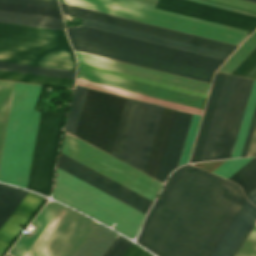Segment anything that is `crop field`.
I'll return each mask as SVG.
<instances>
[{"label":"crop field","mask_w":256,"mask_h":256,"mask_svg":"<svg viewBox=\"0 0 256 256\" xmlns=\"http://www.w3.org/2000/svg\"><path fill=\"white\" fill-rule=\"evenodd\" d=\"M245 200L237 185L183 166L169 177L137 242L159 256H210Z\"/></svg>","instance_id":"8a807250"},{"label":"crop field","mask_w":256,"mask_h":256,"mask_svg":"<svg viewBox=\"0 0 256 256\" xmlns=\"http://www.w3.org/2000/svg\"><path fill=\"white\" fill-rule=\"evenodd\" d=\"M59 1L64 3V0ZM65 3L236 46H239L248 36L247 34L107 0H65ZM60 5L63 14L78 16L82 19L83 23L81 27L90 26L223 60H226L237 48L236 46L96 13L61 3Z\"/></svg>","instance_id":"ac0d7876"},{"label":"crop field","mask_w":256,"mask_h":256,"mask_svg":"<svg viewBox=\"0 0 256 256\" xmlns=\"http://www.w3.org/2000/svg\"><path fill=\"white\" fill-rule=\"evenodd\" d=\"M66 30L74 49L209 83L224 62L90 27Z\"/></svg>","instance_id":"34b2d1b8"},{"label":"crop field","mask_w":256,"mask_h":256,"mask_svg":"<svg viewBox=\"0 0 256 256\" xmlns=\"http://www.w3.org/2000/svg\"><path fill=\"white\" fill-rule=\"evenodd\" d=\"M32 224L30 237L22 234L12 256H74L99 223L56 202L48 203Z\"/></svg>","instance_id":"412701ff"},{"label":"crop field","mask_w":256,"mask_h":256,"mask_svg":"<svg viewBox=\"0 0 256 256\" xmlns=\"http://www.w3.org/2000/svg\"><path fill=\"white\" fill-rule=\"evenodd\" d=\"M42 86L15 83L0 161V181L26 188L40 112Z\"/></svg>","instance_id":"f4fd0767"},{"label":"crop field","mask_w":256,"mask_h":256,"mask_svg":"<svg viewBox=\"0 0 256 256\" xmlns=\"http://www.w3.org/2000/svg\"><path fill=\"white\" fill-rule=\"evenodd\" d=\"M68 42L61 30L0 22V61L75 71Z\"/></svg>","instance_id":"dd49c442"},{"label":"crop field","mask_w":256,"mask_h":256,"mask_svg":"<svg viewBox=\"0 0 256 256\" xmlns=\"http://www.w3.org/2000/svg\"><path fill=\"white\" fill-rule=\"evenodd\" d=\"M53 197L133 238L144 215L57 168ZM113 228V229H114Z\"/></svg>","instance_id":"e52e79f7"},{"label":"crop field","mask_w":256,"mask_h":256,"mask_svg":"<svg viewBox=\"0 0 256 256\" xmlns=\"http://www.w3.org/2000/svg\"><path fill=\"white\" fill-rule=\"evenodd\" d=\"M162 108L127 98L110 155L145 171Z\"/></svg>","instance_id":"d8731c3e"},{"label":"crop field","mask_w":256,"mask_h":256,"mask_svg":"<svg viewBox=\"0 0 256 256\" xmlns=\"http://www.w3.org/2000/svg\"><path fill=\"white\" fill-rule=\"evenodd\" d=\"M65 134V131H64ZM63 134V139H64ZM63 139L61 144L63 145ZM62 153L153 201L162 183L66 133Z\"/></svg>","instance_id":"5a996713"},{"label":"crop field","mask_w":256,"mask_h":256,"mask_svg":"<svg viewBox=\"0 0 256 256\" xmlns=\"http://www.w3.org/2000/svg\"><path fill=\"white\" fill-rule=\"evenodd\" d=\"M125 99L89 88L75 136L110 153Z\"/></svg>","instance_id":"3316defc"},{"label":"crop field","mask_w":256,"mask_h":256,"mask_svg":"<svg viewBox=\"0 0 256 256\" xmlns=\"http://www.w3.org/2000/svg\"><path fill=\"white\" fill-rule=\"evenodd\" d=\"M113 1L126 3V4H130V5H134V6H138V7H142V8H146V9H150V10H154V11H158V12H162V13H166V14H170V15H174V16H178V17H182V18H187V19H191V20H195V21H199V22H203V23H207V24H211V25H215V26L243 32V33H247V34H250L251 32H249V31H253L256 28V18L255 17L231 12L228 10L200 4V3L189 1V0H157V1L156 0H113ZM194 1H198V2H202V3H206V4H210V5H214V6H218V7H222V8H226V9H230V10H234V11H238V12L256 16V13L233 8V7H228V6H224V5H220V4H216V3H212V2H208V1H204V0H194ZM151 5L153 7H157V8H161V9H165V10H169V11H173V12H177V13H181V14H185V15H189V16H193V17H197V18H201V19H205V20H209V21H213V22H217V23H221V24H225V25H229V26H233V27H237V28H241V29H245V30H249V31H245V30H241V29H237V28H233V27H229V26H225V25H221V24H217V23H212V22H208V21H204V20H200V19H196V18H192V17L156 9V8H152V7H150Z\"/></svg>","instance_id":"28ad6ade"},{"label":"crop field","mask_w":256,"mask_h":256,"mask_svg":"<svg viewBox=\"0 0 256 256\" xmlns=\"http://www.w3.org/2000/svg\"><path fill=\"white\" fill-rule=\"evenodd\" d=\"M63 115L41 112L28 189L49 195Z\"/></svg>","instance_id":"d1516ede"},{"label":"crop field","mask_w":256,"mask_h":256,"mask_svg":"<svg viewBox=\"0 0 256 256\" xmlns=\"http://www.w3.org/2000/svg\"><path fill=\"white\" fill-rule=\"evenodd\" d=\"M78 73H79V68H78ZM78 73H77V78H78ZM79 79L115 87V88H120L160 99H165L197 108L202 107L203 99L200 97L132 81V80H127L107 74H102L86 69L80 68V74H79ZM206 100V99H205ZM204 100V104H205ZM203 104V108H204ZM202 108V109H203Z\"/></svg>","instance_id":"22f410ed"},{"label":"crop field","mask_w":256,"mask_h":256,"mask_svg":"<svg viewBox=\"0 0 256 256\" xmlns=\"http://www.w3.org/2000/svg\"><path fill=\"white\" fill-rule=\"evenodd\" d=\"M77 59L80 62L208 93L209 85L208 83L168 74V73H163L123 62H118L82 52L76 51Z\"/></svg>","instance_id":"cbeb9de0"},{"label":"crop field","mask_w":256,"mask_h":256,"mask_svg":"<svg viewBox=\"0 0 256 256\" xmlns=\"http://www.w3.org/2000/svg\"><path fill=\"white\" fill-rule=\"evenodd\" d=\"M192 115L175 111L156 179L164 182L166 176L177 167Z\"/></svg>","instance_id":"5142ce71"},{"label":"crop field","mask_w":256,"mask_h":256,"mask_svg":"<svg viewBox=\"0 0 256 256\" xmlns=\"http://www.w3.org/2000/svg\"><path fill=\"white\" fill-rule=\"evenodd\" d=\"M57 166L143 213L150 205L61 156Z\"/></svg>","instance_id":"d9b57169"},{"label":"crop field","mask_w":256,"mask_h":256,"mask_svg":"<svg viewBox=\"0 0 256 256\" xmlns=\"http://www.w3.org/2000/svg\"><path fill=\"white\" fill-rule=\"evenodd\" d=\"M44 201L41 196L28 192L0 228V256L21 231Z\"/></svg>","instance_id":"733c2abd"},{"label":"crop field","mask_w":256,"mask_h":256,"mask_svg":"<svg viewBox=\"0 0 256 256\" xmlns=\"http://www.w3.org/2000/svg\"><path fill=\"white\" fill-rule=\"evenodd\" d=\"M250 79L238 77L213 159L226 158Z\"/></svg>","instance_id":"4a817a6b"},{"label":"crop field","mask_w":256,"mask_h":256,"mask_svg":"<svg viewBox=\"0 0 256 256\" xmlns=\"http://www.w3.org/2000/svg\"><path fill=\"white\" fill-rule=\"evenodd\" d=\"M256 217V207L246 201L211 256H230Z\"/></svg>","instance_id":"bc2a9ffb"},{"label":"crop field","mask_w":256,"mask_h":256,"mask_svg":"<svg viewBox=\"0 0 256 256\" xmlns=\"http://www.w3.org/2000/svg\"><path fill=\"white\" fill-rule=\"evenodd\" d=\"M236 78L237 77L234 76H225L201 160H209L213 158Z\"/></svg>","instance_id":"214f88e0"},{"label":"crop field","mask_w":256,"mask_h":256,"mask_svg":"<svg viewBox=\"0 0 256 256\" xmlns=\"http://www.w3.org/2000/svg\"><path fill=\"white\" fill-rule=\"evenodd\" d=\"M174 111L175 110L173 109H169L165 107L163 108V112L161 115V119L159 122V126L157 129V133L155 136V140L152 146V150H151L150 157H149L148 164L145 171V173L153 177H156V173L161 160V156L163 153L169 128L172 122Z\"/></svg>","instance_id":"92a150f3"},{"label":"crop field","mask_w":256,"mask_h":256,"mask_svg":"<svg viewBox=\"0 0 256 256\" xmlns=\"http://www.w3.org/2000/svg\"><path fill=\"white\" fill-rule=\"evenodd\" d=\"M224 76L225 75L219 74V73H216L215 75L213 87L210 93V97L207 103L205 114L202 120V124L199 130V134L197 137V141H196L190 162H196L200 160V156L203 150V146L206 140V136L209 130V126L212 120V116H213L215 106L218 100V96L221 90V86L224 80Z\"/></svg>","instance_id":"dafd665d"},{"label":"crop field","mask_w":256,"mask_h":256,"mask_svg":"<svg viewBox=\"0 0 256 256\" xmlns=\"http://www.w3.org/2000/svg\"><path fill=\"white\" fill-rule=\"evenodd\" d=\"M116 236V233L99 225L75 256H102Z\"/></svg>","instance_id":"00972430"},{"label":"crop field","mask_w":256,"mask_h":256,"mask_svg":"<svg viewBox=\"0 0 256 256\" xmlns=\"http://www.w3.org/2000/svg\"><path fill=\"white\" fill-rule=\"evenodd\" d=\"M0 21L64 30L61 19H57V18H49V17H41V16H33V15H25V14H17V13L0 11Z\"/></svg>","instance_id":"a9b5d70f"},{"label":"crop field","mask_w":256,"mask_h":256,"mask_svg":"<svg viewBox=\"0 0 256 256\" xmlns=\"http://www.w3.org/2000/svg\"><path fill=\"white\" fill-rule=\"evenodd\" d=\"M0 79L68 87V88L74 87V80H71V79L55 78V77L32 75V74L17 73V72L2 71V70H0Z\"/></svg>","instance_id":"4177f3b9"},{"label":"crop field","mask_w":256,"mask_h":256,"mask_svg":"<svg viewBox=\"0 0 256 256\" xmlns=\"http://www.w3.org/2000/svg\"><path fill=\"white\" fill-rule=\"evenodd\" d=\"M26 193L27 191L0 184V226Z\"/></svg>","instance_id":"730fd06b"},{"label":"crop field","mask_w":256,"mask_h":256,"mask_svg":"<svg viewBox=\"0 0 256 256\" xmlns=\"http://www.w3.org/2000/svg\"><path fill=\"white\" fill-rule=\"evenodd\" d=\"M76 84L103 90V91H107V92H111V93H115V94H119V95H123V96H127V97H131V98H135V99H139V100H143V101H147V102H151V103H155V104H159V105H163V106H167V107H171V108H175V109H179V110H183V111H187V112H191V113H195V114H199V115H201V113L203 111V110H199V109H195V108H191V107H187V106H183V105H179V104H175V103H171V102H167V101H163V100H158V99H154V98H150V97H146V96H142V95H138V94L122 91V90H117V89L81 81L78 79L76 81Z\"/></svg>","instance_id":"eef30255"},{"label":"crop field","mask_w":256,"mask_h":256,"mask_svg":"<svg viewBox=\"0 0 256 256\" xmlns=\"http://www.w3.org/2000/svg\"><path fill=\"white\" fill-rule=\"evenodd\" d=\"M256 104V80L254 81L253 88L249 97V101L245 110V114L241 123V127L237 136V140L233 149L231 157H236L241 155V151L244 145L246 134L249 128L253 110Z\"/></svg>","instance_id":"ae1a2a85"},{"label":"crop field","mask_w":256,"mask_h":256,"mask_svg":"<svg viewBox=\"0 0 256 256\" xmlns=\"http://www.w3.org/2000/svg\"><path fill=\"white\" fill-rule=\"evenodd\" d=\"M87 89L88 88L85 87H75L74 95L64 127L65 130L69 131L72 134H75Z\"/></svg>","instance_id":"d3111659"},{"label":"crop field","mask_w":256,"mask_h":256,"mask_svg":"<svg viewBox=\"0 0 256 256\" xmlns=\"http://www.w3.org/2000/svg\"><path fill=\"white\" fill-rule=\"evenodd\" d=\"M14 83L0 81V155Z\"/></svg>","instance_id":"750c4746"},{"label":"crop field","mask_w":256,"mask_h":256,"mask_svg":"<svg viewBox=\"0 0 256 256\" xmlns=\"http://www.w3.org/2000/svg\"><path fill=\"white\" fill-rule=\"evenodd\" d=\"M0 69L74 79L75 72L0 62Z\"/></svg>","instance_id":"bd1437ed"},{"label":"crop field","mask_w":256,"mask_h":256,"mask_svg":"<svg viewBox=\"0 0 256 256\" xmlns=\"http://www.w3.org/2000/svg\"><path fill=\"white\" fill-rule=\"evenodd\" d=\"M256 47V31L245 41V43L227 60L218 70L231 74V72L250 54Z\"/></svg>","instance_id":"1d83c4d3"},{"label":"crop field","mask_w":256,"mask_h":256,"mask_svg":"<svg viewBox=\"0 0 256 256\" xmlns=\"http://www.w3.org/2000/svg\"><path fill=\"white\" fill-rule=\"evenodd\" d=\"M0 10L61 18L60 11L56 9H48V8H40V7L0 2Z\"/></svg>","instance_id":"120bbe31"},{"label":"crop field","mask_w":256,"mask_h":256,"mask_svg":"<svg viewBox=\"0 0 256 256\" xmlns=\"http://www.w3.org/2000/svg\"><path fill=\"white\" fill-rule=\"evenodd\" d=\"M252 158L253 157L226 160L215 169L213 173L228 179Z\"/></svg>","instance_id":"d32e631a"},{"label":"crop field","mask_w":256,"mask_h":256,"mask_svg":"<svg viewBox=\"0 0 256 256\" xmlns=\"http://www.w3.org/2000/svg\"><path fill=\"white\" fill-rule=\"evenodd\" d=\"M78 66L96 70V71H100V72H104V73H108V74H112V75H116V76H120V77H124V78H128V79H132V80H136V81H140V82H144V83H148V84H152V85H157V86H161V87H165V88H169V89H173V90H177V91H182V92L202 96L205 98L207 96L205 94H201V93H197V92H193V91H189V90H185V89H181V88H177V87H173V86H169V85H165V84H161V83H157V82H153V81H149V80H145V79H141V78H137V77H133V76H129V75H125V74H121V73H117V72H113V71H109V70H105V69H101V68H97V67H93V66H89V65H85V64H81V63H78Z\"/></svg>","instance_id":"5866460e"},{"label":"crop field","mask_w":256,"mask_h":256,"mask_svg":"<svg viewBox=\"0 0 256 256\" xmlns=\"http://www.w3.org/2000/svg\"><path fill=\"white\" fill-rule=\"evenodd\" d=\"M200 118H201V116H199V115H195V114L193 115L192 122H191V125L189 128V132H188V135L186 138V142H185V145L183 148V152H182V155L180 158L179 165L184 164L188 161L189 154H190L192 144H193V141H194V138L196 135V131H197V128L199 125Z\"/></svg>","instance_id":"028f5c9d"},{"label":"crop field","mask_w":256,"mask_h":256,"mask_svg":"<svg viewBox=\"0 0 256 256\" xmlns=\"http://www.w3.org/2000/svg\"><path fill=\"white\" fill-rule=\"evenodd\" d=\"M236 256H256V225Z\"/></svg>","instance_id":"e1f06a70"},{"label":"crop field","mask_w":256,"mask_h":256,"mask_svg":"<svg viewBox=\"0 0 256 256\" xmlns=\"http://www.w3.org/2000/svg\"><path fill=\"white\" fill-rule=\"evenodd\" d=\"M251 53V52H250ZM256 66V48L252 53L238 66V68L232 73L234 75L246 76Z\"/></svg>","instance_id":"0bd39190"},{"label":"crop field","mask_w":256,"mask_h":256,"mask_svg":"<svg viewBox=\"0 0 256 256\" xmlns=\"http://www.w3.org/2000/svg\"><path fill=\"white\" fill-rule=\"evenodd\" d=\"M131 243L119 236L103 256H122Z\"/></svg>","instance_id":"b80d0937"},{"label":"crop field","mask_w":256,"mask_h":256,"mask_svg":"<svg viewBox=\"0 0 256 256\" xmlns=\"http://www.w3.org/2000/svg\"><path fill=\"white\" fill-rule=\"evenodd\" d=\"M0 1L59 9L57 1H54V0H0Z\"/></svg>","instance_id":"c035e120"},{"label":"crop field","mask_w":256,"mask_h":256,"mask_svg":"<svg viewBox=\"0 0 256 256\" xmlns=\"http://www.w3.org/2000/svg\"><path fill=\"white\" fill-rule=\"evenodd\" d=\"M238 184L241 186L244 194L247 196L256 189V169L243 178Z\"/></svg>","instance_id":"c21b1889"},{"label":"crop field","mask_w":256,"mask_h":256,"mask_svg":"<svg viewBox=\"0 0 256 256\" xmlns=\"http://www.w3.org/2000/svg\"><path fill=\"white\" fill-rule=\"evenodd\" d=\"M254 168H256V157H254L239 171H237L232 177L229 178V180L237 183L243 177H245L248 173H250Z\"/></svg>","instance_id":"03da06ac"},{"label":"crop field","mask_w":256,"mask_h":256,"mask_svg":"<svg viewBox=\"0 0 256 256\" xmlns=\"http://www.w3.org/2000/svg\"><path fill=\"white\" fill-rule=\"evenodd\" d=\"M212 1H216V2H220V3L256 11L255 3H251V2H247V1H243V0H212Z\"/></svg>","instance_id":"b54c1fbb"},{"label":"crop field","mask_w":256,"mask_h":256,"mask_svg":"<svg viewBox=\"0 0 256 256\" xmlns=\"http://www.w3.org/2000/svg\"><path fill=\"white\" fill-rule=\"evenodd\" d=\"M59 155H61V156L65 157V158H67V159H69V160H71V161L75 162L76 164H78V165H80V166H82V167L86 168L87 170H89V171H91V172H93V173H95V174L99 175L100 177H102V178H104V179H106V180L110 181L111 183H113V184H115V185H117V186H119V187L123 188L124 190H126V191H128V192H130V193L134 194L135 196H137V197H139V198H141V199H143V200H145V201H147L148 203H150V204H151V202H152V201H150V200H148V199H146V198H144V197L140 196L139 194H137V193H135V192H133V191H131V190L127 189L126 187H124V186H122V185H120V184H118V183L114 182L113 180H111V179H109V178H107V177H105V176H103V175L99 174L98 172H96V171H94V170H92V169H90V168L86 167L85 165H83V164H81V163H79V162H77V161L73 160L72 158H70V157H68V156H66V155H64V154H62V153H59Z\"/></svg>","instance_id":"5d738f31"},{"label":"crop field","mask_w":256,"mask_h":256,"mask_svg":"<svg viewBox=\"0 0 256 256\" xmlns=\"http://www.w3.org/2000/svg\"><path fill=\"white\" fill-rule=\"evenodd\" d=\"M255 125H256V107H255V110H254V114H253V117H252V121H251V124H250V128H249V131H248V134H247V138H246L245 145H244L241 156H246L247 155V151H248V148H249V145H250V141H251V138H252V135H253Z\"/></svg>","instance_id":"d23c7cc5"},{"label":"crop field","mask_w":256,"mask_h":256,"mask_svg":"<svg viewBox=\"0 0 256 256\" xmlns=\"http://www.w3.org/2000/svg\"><path fill=\"white\" fill-rule=\"evenodd\" d=\"M252 82H253V80L251 79L227 158H229L231 156V152H232V149H233V146H234V142H235V139H236V136H237V132H238V129H239V126H240V122H241L243 112H244V109H245V106H246V102H247V99H248V96H249V92H250V89H251V86H252Z\"/></svg>","instance_id":"425ffa30"},{"label":"crop field","mask_w":256,"mask_h":256,"mask_svg":"<svg viewBox=\"0 0 256 256\" xmlns=\"http://www.w3.org/2000/svg\"><path fill=\"white\" fill-rule=\"evenodd\" d=\"M123 256H152V255L132 243Z\"/></svg>","instance_id":"25e5ab78"},{"label":"crop field","mask_w":256,"mask_h":256,"mask_svg":"<svg viewBox=\"0 0 256 256\" xmlns=\"http://www.w3.org/2000/svg\"><path fill=\"white\" fill-rule=\"evenodd\" d=\"M250 155H256V128H255V131H254V135H253V138H252L251 145H250L247 156H250Z\"/></svg>","instance_id":"73cf0c24"},{"label":"crop field","mask_w":256,"mask_h":256,"mask_svg":"<svg viewBox=\"0 0 256 256\" xmlns=\"http://www.w3.org/2000/svg\"><path fill=\"white\" fill-rule=\"evenodd\" d=\"M255 224H256V219L253 222V224L251 225V227L249 228V230L247 231V233L245 234V236L243 237L242 241L240 242V244L238 245V247L236 248V250L234 251L232 256H235V254L237 253V251L239 250V248L241 247V245L243 244V242L245 241V239L247 238V236L249 235L250 231L252 230V228L254 227Z\"/></svg>","instance_id":"89e229c0"},{"label":"crop field","mask_w":256,"mask_h":256,"mask_svg":"<svg viewBox=\"0 0 256 256\" xmlns=\"http://www.w3.org/2000/svg\"><path fill=\"white\" fill-rule=\"evenodd\" d=\"M247 198L253 203L256 201V190L253 191L250 195L247 196Z\"/></svg>","instance_id":"1f2cbd36"},{"label":"crop field","mask_w":256,"mask_h":256,"mask_svg":"<svg viewBox=\"0 0 256 256\" xmlns=\"http://www.w3.org/2000/svg\"><path fill=\"white\" fill-rule=\"evenodd\" d=\"M255 71H256V67L247 76L250 77Z\"/></svg>","instance_id":"dbb93151"},{"label":"crop field","mask_w":256,"mask_h":256,"mask_svg":"<svg viewBox=\"0 0 256 256\" xmlns=\"http://www.w3.org/2000/svg\"><path fill=\"white\" fill-rule=\"evenodd\" d=\"M251 77L252 78H256V72Z\"/></svg>","instance_id":"0fb4a251"},{"label":"crop field","mask_w":256,"mask_h":256,"mask_svg":"<svg viewBox=\"0 0 256 256\" xmlns=\"http://www.w3.org/2000/svg\"><path fill=\"white\" fill-rule=\"evenodd\" d=\"M248 1L256 2V0H248Z\"/></svg>","instance_id":"1d79db26"},{"label":"crop field","mask_w":256,"mask_h":256,"mask_svg":"<svg viewBox=\"0 0 256 256\" xmlns=\"http://www.w3.org/2000/svg\"><path fill=\"white\" fill-rule=\"evenodd\" d=\"M6 256H10V255L7 254Z\"/></svg>","instance_id":"9d1cf04e"},{"label":"crop field","mask_w":256,"mask_h":256,"mask_svg":"<svg viewBox=\"0 0 256 256\" xmlns=\"http://www.w3.org/2000/svg\"><path fill=\"white\" fill-rule=\"evenodd\" d=\"M254 204H256V202Z\"/></svg>","instance_id":"447ae74e"}]
</instances>
